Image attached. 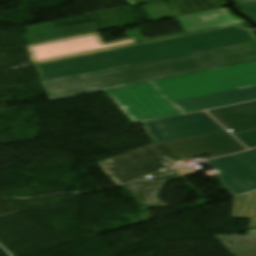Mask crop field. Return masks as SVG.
I'll use <instances>...</instances> for the list:
<instances>
[{
    "label": "crop field",
    "instance_id": "1",
    "mask_svg": "<svg viewBox=\"0 0 256 256\" xmlns=\"http://www.w3.org/2000/svg\"><path fill=\"white\" fill-rule=\"evenodd\" d=\"M255 85L256 61H253L105 92L135 123L183 115L173 103L177 100Z\"/></svg>",
    "mask_w": 256,
    "mask_h": 256
},
{
    "label": "crop field",
    "instance_id": "2",
    "mask_svg": "<svg viewBox=\"0 0 256 256\" xmlns=\"http://www.w3.org/2000/svg\"><path fill=\"white\" fill-rule=\"evenodd\" d=\"M256 59V41L42 83L51 101Z\"/></svg>",
    "mask_w": 256,
    "mask_h": 256
},
{
    "label": "crop field",
    "instance_id": "3",
    "mask_svg": "<svg viewBox=\"0 0 256 256\" xmlns=\"http://www.w3.org/2000/svg\"><path fill=\"white\" fill-rule=\"evenodd\" d=\"M252 40H256V38L251 31L233 27L101 52L35 67L42 81L45 82Z\"/></svg>",
    "mask_w": 256,
    "mask_h": 256
},
{
    "label": "crop field",
    "instance_id": "4",
    "mask_svg": "<svg viewBox=\"0 0 256 256\" xmlns=\"http://www.w3.org/2000/svg\"><path fill=\"white\" fill-rule=\"evenodd\" d=\"M101 165L119 186L126 185L146 208L161 205L156 199L161 186L181 177L153 145Z\"/></svg>",
    "mask_w": 256,
    "mask_h": 256
},
{
    "label": "crop field",
    "instance_id": "5",
    "mask_svg": "<svg viewBox=\"0 0 256 256\" xmlns=\"http://www.w3.org/2000/svg\"><path fill=\"white\" fill-rule=\"evenodd\" d=\"M125 33L128 39L119 40L107 44H104L99 33H96L30 45L27 46V48L31 55L30 58L33 64H36L137 44L138 42L134 39L135 37L139 40L140 43H143L163 38L184 35V33H181L147 39L141 35L139 29L127 31Z\"/></svg>",
    "mask_w": 256,
    "mask_h": 256
},
{
    "label": "crop field",
    "instance_id": "6",
    "mask_svg": "<svg viewBox=\"0 0 256 256\" xmlns=\"http://www.w3.org/2000/svg\"><path fill=\"white\" fill-rule=\"evenodd\" d=\"M154 146L169 162L206 154L214 158L246 150L226 130Z\"/></svg>",
    "mask_w": 256,
    "mask_h": 256
},
{
    "label": "crop field",
    "instance_id": "7",
    "mask_svg": "<svg viewBox=\"0 0 256 256\" xmlns=\"http://www.w3.org/2000/svg\"><path fill=\"white\" fill-rule=\"evenodd\" d=\"M207 163L220 173V185L233 195L256 190V149Z\"/></svg>",
    "mask_w": 256,
    "mask_h": 256
},
{
    "label": "crop field",
    "instance_id": "8",
    "mask_svg": "<svg viewBox=\"0 0 256 256\" xmlns=\"http://www.w3.org/2000/svg\"><path fill=\"white\" fill-rule=\"evenodd\" d=\"M157 143L223 130L205 112L145 123Z\"/></svg>",
    "mask_w": 256,
    "mask_h": 256
},
{
    "label": "crop field",
    "instance_id": "9",
    "mask_svg": "<svg viewBox=\"0 0 256 256\" xmlns=\"http://www.w3.org/2000/svg\"><path fill=\"white\" fill-rule=\"evenodd\" d=\"M148 4L141 7L152 21L172 18L224 7L225 0H172ZM173 7L175 10H171Z\"/></svg>",
    "mask_w": 256,
    "mask_h": 256
},
{
    "label": "crop field",
    "instance_id": "10",
    "mask_svg": "<svg viewBox=\"0 0 256 256\" xmlns=\"http://www.w3.org/2000/svg\"><path fill=\"white\" fill-rule=\"evenodd\" d=\"M256 100V86L174 102L184 113Z\"/></svg>",
    "mask_w": 256,
    "mask_h": 256
},
{
    "label": "crop field",
    "instance_id": "11",
    "mask_svg": "<svg viewBox=\"0 0 256 256\" xmlns=\"http://www.w3.org/2000/svg\"><path fill=\"white\" fill-rule=\"evenodd\" d=\"M208 112L233 134L256 129V101Z\"/></svg>",
    "mask_w": 256,
    "mask_h": 256
},
{
    "label": "crop field",
    "instance_id": "12",
    "mask_svg": "<svg viewBox=\"0 0 256 256\" xmlns=\"http://www.w3.org/2000/svg\"><path fill=\"white\" fill-rule=\"evenodd\" d=\"M28 45L99 32L96 22L55 29L52 22L25 27Z\"/></svg>",
    "mask_w": 256,
    "mask_h": 256
},
{
    "label": "crop field",
    "instance_id": "13",
    "mask_svg": "<svg viewBox=\"0 0 256 256\" xmlns=\"http://www.w3.org/2000/svg\"><path fill=\"white\" fill-rule=\"evenodd\" d=\"M176 19L188 34L243 23L242 20L233 17L226 8L177 17Z\"/></svg>",
    "mask_w": 256,
    "mask_h": 256
},
{
    "label": "crop field",
    "instance_id": "14",
    "mask_svg": "<svg viewBox=\"0 0 256 256\" xmlns=\"http://www.w3.org/2000/svg\"><path fill=\"white\" fill-rule=\"evenodd\" d=\"M233 256H256V230L245 237L233 234L214 236Z\"/></svg>",
    "mask_w": 256,
    "mask_h": 256
},
{
    "label": "crop field",
    "instance_id": "15",
    "mask_svg": "<svg viewBox=\"0 0 256 256\" xmlns=\"http://www.w3.org/2000/svg\"><path fill=\"white\" fill-rule=\"evenodd\" d=\"M248 148L256 147V131L236 135Z\"/></svg>",
    "mask_w": 256,
    "mask_h": 256
},
{
    "label": "crop field",
    "instance_id": "16",
    "mask_svg": "<svg viewBox=\"0 0 256 256\" xmlns=\"http://www.w3.org/2000/svg\"><path fill=\"white\" fill-rule=\"evenodd\" d=\"M237 7L256 20V2L238 5Z\"/></svg>",
    "mask_w": 256,
    "mask_h": 256
},
{
    "label": "crop field",
    "instance_id": "17",
    "mask_svg": "<svg viewBox=\"0 0 256 256\" xmlns=\"http://www.w3.org/2000/svg\"><path fill=\"white\" fill-rule=\"evenodd\" d=\"M131 6L159 1V0H126Z\"/></svg>",
    "mask_w": 256,
    "mask_h": 256
},
{
    "label": "crop field",
    "instance_id": "18",
    "mask_svg": "<svg viewBox=\"0 0 256 256\" xmlns=\"http://www.w3.org/2000/svg\"><path fill=\"white\" fill-rule=\"evenodd\" d=\"M256 0H236V5L238 4H243V3H249V2H254Z\"/></svg>",
    "mask_w": 256,
    "mask_h": 256
},
{
    "label": "crop field",
    "instance_id": "19",
    "mask_svg": "<svg viewBox=\"0 0 256 256\" xmlns=\"http://www.w3.org/2000/svg\"><path fill=\"white\" fill-rule=\"evenodd\" d=\"M238 26L243 27V28H245V29H250V27H249L247 24H244V25H238Z\"/></svg>",
    "mask_w": 256,
    "mask_h": 256
}]
</instances>
